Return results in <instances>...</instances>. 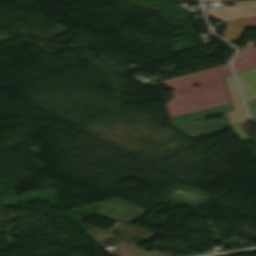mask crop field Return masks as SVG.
<instances>
[{
	"label": "crop field",
	"mask_w": 256,
	"mask_h": 256,
	"mask_svg": "<svg viewBox=\"0 0 256 256\" xmlns=\"http://www.w3.org/2000/svg\"><path fill=\"white\" fill-rule=\"evenodd\" d=\"M231 7L206 9L210 16L226 20L227 27L223 38L230 41L240 35L243 27L255 26L256 17L237 20L238 18L256 16V0L233 2ZM256 64V47L248 46L238 52L233 60L236 73Z\"/></svg>",
	"instance_id": "obj_2"
},
{
	"label": "crop field",
	"mask_w": 256,
	"mask_h": 256,
	"mask_svg": "<svg viewBox=\"0 0 256 256\" xmlns=\"http://www.w3.org/2000/svg\"><path fill=\"white\" fill-rule=\"evenodd\" d=\"M178 1H181V0H178Z\"/></svg>",
	"instance_id": "obj_8"
},
{
	"label": "crop field",
	"mask_w": 256,
	"mask_h": 256,
	"mask_svg": "<svg viewBox=\"0 0 256 256\" xmlns=\"http://www.w3.org/2000/svg\"><path fill=\"white\" fill-rule=\"evenodd\" d=\"M246 101L256 99V66L236 74Z\"/></svg>",
	"instance_id": "obj_4"
},
{
	"label": "crop field",
	"mask_w": 256,
	"mask_h": 256,
	"mask_svg": "<svg viewBox=\"0 0 256 256\" xmlns=\"http://www.w3.org/2000/svg\"><path fill=\"white\" fill-rule=\"evenodd\" d=\"M224 78H225L226 83H227V87H228V90H229V94H230L232 104L235 108V110L226 112V114L229 118V121H230L231 125L233 126L235 124H238V123L248 119V117L246 115V112H245L244 107L242 105L241 99L239 97V94H238L233 76L231 75V76H227V77H224Z\"/></svg>",
	"instance_id": "obj_3"
},
{
	"label": "crop field",
	"mask_w": 256,
	"mask_h": 256,
	"mask_svg": "<svg viewBox=\"0 0 256 256\" xmlns=\"http://www.w3.org/2000/svg\"><path fill=\"white\" fill-rule=\"evenodd\" d=\"M233 128L235 129V131L238 133V135L241 138H249L240 128L238 125L233 126Z\"/></svg>",
	"instance_id": "obj_6"
},
{
	"label": "crop field",
	"mask_w": 256,
	"mask_h": 256,
	"mask_svg": "<svg viewBox=\"0 0 256 256\" xmlns=\"http://www.w3.org/2000/svg\"><path fill=\"white\" fill-rule=\"evenodd\" d=\"M247 105H248V109L250 111V116L253 119H256V100L247 102Z\"/></svg>",
	"instance_id": "obj_5"
},
{
	"label": "crop field",
	"mask_w": 256,
	"mask_h": 256,
	"mask_svg": "<svg viewBox=\"0 0 256 256\" xmlns=\"http://www.w3.org/2000/svg\"><path fill=\"white\" fill-rule=\"evenodd\" d=\"M227 73H230L229 64L158 82L175 89L172 103L165 105L173 126L191 137L228 128L225 119L205 121L202 118L230 109L220 78ZM195 84L199 86L193 88ZM223 103L226 104L206 109ZM188 108L193 109L184 111ZM195 132L197 134L192 135Z\"/></svg>",
	"instance_id": "obj_1"
},
{
	"label": "crop field",
	"mask_w": 256,
	"mask_h": 256,
	"mask_svg": "<svg viewBox=\"0 0 256 256\" xmlns=\"http://www.w3.org/2000/svg\"><path fill=\"white\" fill-rule=\"evenodd\" d=\"M218 1H228V0H204L205 3L218 2Z\"/></svg>",
	"instance_id": "obj_7"
}]
</instances>
